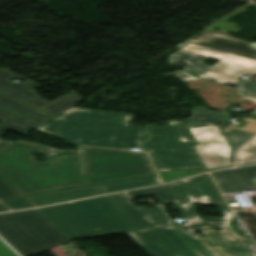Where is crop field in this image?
I'll list each match as a JSON object with an SVG mask.
<instances>
[{"instance_id":"crop-field-11","label":"crop field","mask_w":256,"mask_h":256,"mask_svg":"<svg viewBox=\"0 0 256 256\" xmlns=\"http://www.w3.org/2000/svg\"><path fill=\"white\" fill-rule=\"evenodd\" d=\"M130 196L154 195L161 202L191 200L204 204H217L222 213L231 212L208 174L194 178L128 192Z\"/></svg>"},{"instance_id":"crop-field-22","label":"crop field","mask_w":256,"mask_h":256,"mask_svg":"<svg viewBox=\"0 0 256 256\" xmlns=\"http://www.w3.org/2000/svg\"><path fill=\"white\" fill-rule=\"evenodd\" d=\"M0 256H18L0 240Z\"/></svg>"},{"instance_id":"crop-field-17","label":"crop field","mask_w":256,"mask_h":256,"mask_svg":"<svg viewBox=\"0 0 256 256\" xmlns=\"http://www.w3.org/2000/svg\"><path fill=\"white\" fill-rule=\"evenodd\" d=\"M158 183H160L159 179L157 175H154V176H148V177H143L138 179L101 184L99 186L104 193H108V192L126 190V189L137 188V187L153 185Z\"/></svg>"},{"instance_id":"crop-field-14","label":"crop field","mask_w":256,"mask_h":256,"mask_svg":"<svg viewBox=\"0 0 256 256\" xmlns=\"http://www.w3.org/2000/svg\"><path fill=\"white\" fill-rule=\"evenodd\" d=\"M186 42L230 52L256 59V50L249 48V42L209 31L202 30Z\"/></svg>"},{"instance_id":"crop-field-6","label":"crop field","mask_w":256,"mask_h":256,"mask_svg":"<svg viewBox=\"0 0 256 256\" xmlns=\"http://www.w3.org/2000/svg\"><path fill=\"white\" fill-rule=\"evenodd\" d=\"M192 112V116L185 119V123L198 143L194 148L205 167L214 169L234 165L236 149L255 134L218 126L228 113L212 112L200 107L193 108Z\"/></svg>"},{"instance_id":"crop-field-15","label":"crop field","mask_w":256,"mask_h":256,"mask_svg":"<svg viewBox=\"0 0 256 256\" xmlns=\"http://www.w3.org/2000/svg\"><path fill=\"white\" fill-rule=\"evenodd\" d=\"M212 174L221 191L225 194L256 188V165L217 171Z\"/></svg>"},{"instance_id":"crop-field-13","label":"crop field","mask_w":256,"mask_h":256,"mask_svg":"<svg viewBox=\"0 0 256 256\" xmlns=\"http://www.w3.org/2000/svg\"><path fill=\"white\" fill-rule=\"evenodd\" d=\"M108 197L135 230L173 225L158 207L150 210L137 208L124 193L109 195Z\"/></svg>"},{"instance_id":"crop-field-16","label":"crop field","mask_w":256,"mask_h":256,"mask_svg":"<svg viewBox=\"0 0 256 256\" xmlns=\"http://www.w3.org/2000/svg\"><path fill=\"white\" fill-rule=\"evenodd\" d=\"M98 185L53 191L25 197L34 206L63 202L82 197L102 194Z\"/></svg>"},{"instance_id":"crop-field-4","label":"crop field","mask_w":256,"mask_h":256,"mask_svg":"<svg viewBox=\"0 0 256 256\" xmlns=\"http://www.w3.org/2000/svg\"><path fill=\"white\" fill-rule=\"evenodd\" d=\"M177 48L181 50L169 56L170 63L173 64L181 60L188 65L182 71H175L165 75L174 74L184 82L206 78L219 83L233 85L239 90V97L251 100L256 104V83L237 80V77L248 72L256 74V60L185 42L177 45ZM209 57L221 60L212 67L201 63ZM191 73H195L199 77H195ZM246 116L256 118V110Z\"/></svg>"},{"instance_id":"crop-field-9","label":"crop field","mask_w":256,"mask_h":256,"mask_svg":"<svg viewBox=\"0 0 256 256\" xmlns=\"http://www.w3.org/2000/svg\"><path fill=\"white\" fill-rule=\"evenodd\" d=\"M0 234L23 256L68 240L37 210L1 214Z\"/></svg>"},{"instance_id":"crop-field-8","label":"crop field","mask_w":256,"mask_h":256,"mask_svg":"<svg viewBox=\"0 0 256 256\" xmlns=\"http://www.w3.org/2000/svg\"><path fill=\"white\" fill-rule=\"evenodd\" d=\"M150 129L153 137L145 146L159 173L205 168L193 148L195 138L183 121L170 120L162 127L150 125Z\"/></svg>"},{"instance_id":"crop-field-18","label":"crop field","mask_w":256,"mask_h":256,"mask_svg":"<svg viewBox=\"0 0 256 256\" xmlns=\"http://www.w3.org/2000/svg\"><path fill=\"white\" fill-rule=\"evenodd\" d=\"M256 162V138L239 151L238 165Z\"/></svg>"},{"instance_id":"crop-field-12","label":"crop field","mask_w":256,"mask_h":256,"mask_svg":"<svg viewBox=\"0 0 256 256\" xmlns=\"http://www.w3.org/2000/svg\"><path fill=\"white\" fill-rule=\"evenodd\" d=\"M127 234L151 256H206L175 226Z\"/></svg>"},{"instance_id":"crop-field-20","label":"crop field","mask_w":256,"mask_h":256,"mask_svg":"<svg viewBox=\"0 0 256 256\" xmlns=\"http://www.w3.org/2000/svg\"><path fill=\"white\" fill-rule=\"evenodd\" d=\"M202 172H206V171H177V172L162 174L161 177L164 182H168V181H172L175 179L187 177V176L202 173Z\"/></svg>"},{"instance_id":"crop-field-24","label":"crop field","mask_w":256,"mask_h":256,"mask_svg":"<svg viewBox=\"0 0 256 256\" xmlns=\"http://www.w3.org/2000/svg\"><path fill=\"white\" fill-rule=\"evenodd\" d=\"M250 47L255 48L256 49V43H250Z\"/></svg>"},{"instance_id":"crop-field-7","label":"crop field","mask_w":256,"mask_h":256,"mask_svg":"<svg viewBox=\"0 0 256 256\" xmlns=\"http://www.w3.org/2000/svg\"><path fill=\"white\" fill-rule=\"evenodd\" d=\"M174 202L187 219L183 225L176 227L207 256H256L252 241L236 236L231 230L232 213L223 214L224 217L220 218H199L193 202ZM216 227L222 230L214 231ZM197 230H202V234H195Z\"/></svg>"},{"instance_id":"crop-field-5","label":"crop field","mask_w":256,"mask_h":256,"mask_svg":"<svg viewBox=\"0 0 256 256\" xmlns=\"http://www.w3.org/2000/svg\"><path fill=\"white\" fill-rule=\"evenodd\" d=\"M38 211L69 239L134 230L107 196Z\"/></svg>"},{"instance_id":"crop-field-1","label":"crop field","mask_w":256,"mask_h":256,"mask_svg":"<svg viewBox=\"0 0 256 256\" xmlns=\"http://www.w3.org/2000/svg\"><path fill=\"white\" fill-rule=\"evenodd\" d=\"M46 155V162L32 154ZM0 174L22 195L86 185L83 150L13 142L0 150Z\"/></svg>"},{"instance_id":"crop-field-19","label":"crop field","mask_w":256,"mask_h":256,"mask_svg":"<svg viewBox=\"0 0 256 256\" xmlns=\"http://www.w3.org/2000/svg\"><path fill=\"white\" fill-rule=\"evenodd\" d=\"M22 196L0 175V200H7L14 197Z\"/></svg>"},{"instance_id":"crop-field-21","label":"crop field","mask_w":256,"mask_h":256,"mask_svg":"<svg viewBox=\"0 0 256 256\" xmlns=\"http://www.w3.org/2000/svg\"><path fill=\"white\" fill-rule=\"evenodd\" d=\"M4 203H6L9 207H11L12 209H16V208H23V207H31L33 206L30 202H28L24 197L21 198H17V199H13V200H9V201H5Z\"/></svg>"},{"instance_id":"crop-field-2","label":"crop field","mask_w":256,"mask_h":256,"mask_svg":"<svg viewBox=\"0 0 256 256\" xmlns=\"http://www.w3.org/2000/svg\"><path fill=\"white\" fill-rule=\"evenodd\" d=\"M132 115L72 107L38 130L80 145L143 148L144 130L129 124Z\"/></svg>"},{"instance_id":"crop-field-3","label":"crop field","mask_w":256,"mask_h":256,"mask_svg":"<svg viewBox=\"0 0 256 256\" xmlns=\"http://www.w3.org/2000/svg\"><path fill=\"white\" fill-rule=\"evenodd\" d=\"M11 78L18 83L10 81ZM0 68V149L9 141L1 137L7 131L26 134L30 128H36L56 115L85 99L76 91H71L51 102L44 100L36 92L39 84ZM26 86V88L24 87Z\"/></svg>"},{"instance_id":"crop-field-10","label":"crop field","mask_w":256,"mask_h":256,"mask_svg":"<svg viewBox=\"0 0 256 256\" xmlns=\"http://www.w3.org/2000/svg\"><path fill=\"white\" fill-rule=\"evenodd\" d=\"M83 148L87 185L155 173L147 155Z\"/></svg>"},{"instance_id":"crop-field-23","label":"crop field","mask_w":256,"mask_h":256,"mask_svg":"<svg viewBox=\"0 0 256 256\" xmlns=\"http://www.w3.org/2000/svg\"><path fill=\"white\" fill-rule=\"evenodd\" d=\"M8 210L3 204L0 203V211Z\"/></svg>"}]
</instances>
